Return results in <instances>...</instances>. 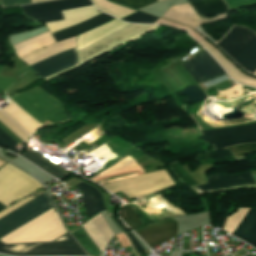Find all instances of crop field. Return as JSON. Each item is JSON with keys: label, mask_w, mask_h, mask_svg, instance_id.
Returning a JSON list of instances; mask_svg holds the SVG:
<instances>
[{"label": "crop field", "mask_w": 256, "mask_h": 256, "mask_svg": "<svg viewBox=\"0 0 256 256\" xmlns=\"http://www.w3.org/2000/svg\"><path fill=\"white\" fill-rule=\"evenodd\" d=\"M112 216H113L114 220L117 222V224L122 228V230H123L125 233L129 232V231L117 220L116 215H112Z\"/></svg>", "instance_id": "33"}, {"label": "crop field", "mask_w": 256, "mask_h": 256, "mask_svg": "<svg viewBox=\"0 0 256 256\" xmlns=\"http://www.w3.org/2000/svg\"><path fill=\"white\" fill-rule=\"evenodd\" d=\"M182 66L197 85L225 75L222 68L206 51Z\"/></svg>", "instance_id": "11"}, {"label": "crop field", "mask_w": 256, "mask_h": 256, "mask_svg": "<svg viewBox=\"0 0 256 256\" xmlns=\"http://www.w3.org/2000/svg\"><path fill=\"white\" fill-rule=\"evenodd\" d=\"M1 68L2 65H0V69ZM14 81L15 79L0 76V90L4 92Z\"/></svg>", "instance_id": "31"}, {"label": "crop field", "mask_w": 256, "mask_h": 256, "mask_svg": "<svg viewBox=\"0 0 256 256\" xmlns=\"http://www.w3.org/2000/svg\"><path fill=\"white\" fill-rule=\"evenodd\" d=\"M255 189V191H256V188H254Z\"/></svg>", "instance_id": "40"}, {"label": "crop field", "mask_w": 256, "mask_h": 256, "mask_svg": "<svg viewBox=\"0 0 256 256\" xmlns=\"http://www.w3.org/2000/svg\"><path fill=\"white\" fill-rule=\"evenodd\" d=\"M22 157L26 158L28 161H30L34 165L38 166L39 168H41L42 170H44L45 172L49 173L50 175H52L53 177L59 180H62L66 176H68L61 170L57 169L56 167H54L53 165H51L41 157L31 153L28 150L22 155Z\"/></svg>", "instance_id": "21"}, {"label": "crop field", "mask_w": 256, "mask_h": 256, "mask_svg": "<svg viewBox=\"0 0 256 256\" xmlns=\"http://www.w3.org/2000/svg\"><path fill=\"white\" fill-rule=\"evenodd\" d=\"M171 184L173 182L165 170H162L138 177L113 181L101 186L112 193L121 190L128 198H132L156 192Z\"/></svg>", "instance_id": "7"}, {"label": "crop field", "mask_w": 256, "mask_h": 256, "mask_svg": "<svg viewBox=\"0 0 256 256\" xmlns=\"http://www.w3.org/2000/svg\"><path fill=\"white\" fill-rule=\"evenodd\" d=\"M216 45L245 71L256 72V34L253 31L234 26Z\"/></svg>", "instance_id": "3"}, {"label": "crop field", "mask_w": 256, "mask_h": 256, "mask_svg": "<svg viewBox=\"0 0 256 256\" xmlns=\"http://www.w3.org/2000/svg\"><path fill=\"white\" fill-rule=\"evenodd\" d=\"M201 19L228 11L222 0H204L189 3Z\"/></svg>", "instance_id": "19"}, {"label": "crop field", "mask_w": 256, "mask_h": 256, "mask_svg": "<svg viewBox=\"0 0 256 256\" xmlns=\"http://www.w3.org/2000/svg\"><path fill=\"white\" fill-rule=\"evenodd\" d=\"M0 145L8 148L9 150L19 153L20 151L16 150L15 147L18 145L14 142L9 136H7L2 130H0Z\"/></svg>", "instance_id": "28"}, {"label": "crop field", "mask_w": 256, "mask_h": 256, "mask_svg": "<svg viewBox=\"0 0 256 256\" xmlns=\"http://www.w3.org/2000/svg\"><path fill=\"white\" fill-rule=\"evenodd\" d=\"M32 1V3H34V2H40V1H45V0H31Z\"/></svg>", "instance_id": "36"}, {"label": "crop field", "mask_w": 256, "mask_h": 256, "mask_svg": "<svg viewBox=\"0 0 256 256\" xmlns=\"http://www.w3.org/2000/svg\"><path fill=\"white\" fill-rule=\"evenodd\" d=\"M248 210L249 208H238L236 212L228 216L223 229L232 234Z\"/></svg>", "instance_id": "25"}, {"label": "crop field", "mask_w": 256, "mask_h": 256, "mask_svg": "<svg viewBox=\"0 0 256 256\" xmlns=\"http://www.w3.org/2000/svg\"><path fill=\"white\" fill-rule=\"evenodd\" d=\"M122 220L132 229L136 230L143 226L131 206L122 207L119 213Z\"/></svg>", "instance_id": "24"}, {"label": "crop field", "mask_w": 256, "mask_h": 256, "mask_svg": "<svg viewBox=\"0 0 256 256\" xmlns=\"http://www.w3.org/2000/svg\"><path fill=\"white\" fill-rule=\"evenodd\" d=\"M54 207L46 192L0 218V239ZM67 233L53 208L0 241L5 244L52 241Z\"/></svg>", "instance_id": "1"}, {"label": "crop field", "mask_w": 256, "mask_h": 256, "mask_svg": "<svg viewBox=\"0 0 256 256\" xmlns=\"http://www.w3.org/2000/svg\"><path fill=\"white\" fill-rule=\"evenodd\" d=\"M93 5L90 0H57L21 6L24 15L36 21L63 19L60 10Z\"/></svg>", "instance_id": "10"}, {"label": "crop field", "mask_w": 256, "mask_h": 256, "mask_svg": "<svg viewBox=\"0 0 256 256\" xmlns=\"http://www.w3.org/2000/svg\"><path fill=\"white\" fill-rule=\"evenodd\" d=\"M112 1L122 3V4H125V5H128V6H131V4H132V6L134 8L140 9L144 6H147L149 4H152V3L156 2L157 0H130L131 4H130L129 0H112Z\"/></svg>", "instance_id": "29"}, {"label": "crop field", "mask_w": 256, "mask_h": 256, "mask_svg": "<svg viewBox=\"0 0 256 256\" xmlns=\"http://www.w3.org/2000/svg\"><path fill=\"white\" fill-rule=\"evenodd\" d=\"M199 43H201L210 52V54L220 62V64L224 67V69L226 70L228 75L232 77V79H234L235 81H237L239 83H243V84H247V85L256 87L255 79H252V78H249L247 76L240 74L228 61H226L213 48L211 49L206 44H204L202 41Z\"/></svg>", "instance_id": "20"}, {"label": "crop field", "mask_w": 256, "mask_h": 256, "mask_svg": "<svg viewBox=\"0 0 256 256\" xmlns=\"http://www.w3.org/2000/svg\"><path fill=\"white\" fill-rule=\"evenodd\" d=\"M92 1L94 2V4L99 10L112 14L118 17L119 19H122L135 12V11L126 9L124 7L109 3L106 0H92Z\"/></svg>", "instance_id": "22"}, {"label": "crop field", "mask_w": 256, "mask_h": 256, "mask_svg": "<svg viewBox=\"0 0 256 256\" xmlns=\"http://www.w3.org/2000/svg\"><path fill=\"white\" fill-rule=\"evenodd\" d=\"M122 20L128 21V22H135V23H153L154 21L157 20V18L136 12Z\"/></svg>", "instance_id": "27"}, {"label": "crop field", "mask_w": 256, "mask_h": 256, "mask_svg": "<svg viewBox=\"0 0 256 256\" xmlns=\"http://www.w3.org/2000/svg\"><path fill=\"white\" fill-rule=\"evenodd\" d=\"M128 25L129 24L127 23L113 19L108 23H105L89 32L78 36V51ZM154 28H156V25L131 24L128 27L104 38L103 40L79 51V65L119 46L120 44L130 39L134 40Z\"/></svg>", "instance_id": "2"}, {"label": "crop field", "mask_w": 256, "mask_h": 256, "mask_svg": "<svg viewBox=\"0 0 256 256\" xmlns=\"http://www.w3.org/2000/svg\"><path fill=\"white\" fill-rule=\"evenodd\" d=\"M3 7H10L31 3L30 0H1Z\"/></svg>", "instance_id": "30"}, {"label": "crop field", "mask_w": 256, "mask_h": 256, "mask_svg": "<svg viewBox=\"0 0 256 256\" xmlns=\"http://www.w3.org/2000/svg\"><path fill=\"white\" fill-rule=\"evenodd\" d=\"M75 239L82 245V247L87 251L91 256H99L100 251L93 244L87 234L84 232L82 226L70 231Z\"/></svg>", "instance_id": "23"}, {"label": "crop field", "mask_w": 256, "mask_h": 256, "mask_svg": "<svg viewBox=\"0 0 256 256\" xmlns=\"http://www.w3.org/2000/svg\"><path fill=\"white\" fill-rule=\"evenodd\" d=\"M170 167L185 185L189 187L196 185L193 179L188 175V173L181 167L178 162L170 164ZM253 176L256 180V175ZM254 181L250 175V172H245L240 175L233 176L213 175L210 177L206 185L197 186L194 187V189L199 191L200 193H203L229 187L256 185Z\"/></svg>", "instance_id": "8"}, {"label": "crop field", "mask_w": 256, "mask_h": 256, "mask_svg": "<svg viewBox=\"0 0 256 256\" xmlns=\"http://www.w3.org/2000/svg\"><path fill=\"white\" fill-rule=\"evenodd\" d=\"M191 1H197V0H187V2H191Z\"/></svg>", "instance_id": "38"}, {"label": "crop field", "mask_w": 256, "mask_h": 256, "mask_svg": "<svg viewBox=\"0 0 256 256\" xmlns=\"http://www.w3.org/2000/svg\"><path fill=\"white\" fill-rule=\"evenodd\" d=\"M5 162H3L2 160H0V166L2 165V164H4Z\"/></svg>", "instance_id": "37"}, {"label": "crop field", "mask_w": 256, "mask_h": 256, "mask_svg": "<svg viewBox=\"0 0 256 256\" xmlns=\"http://www.w3.org/2000/svg\"><path fill=\"white\" fill-rule=\"evenodd\" d=\"M255 247H256V240H255V242H254V244H253Z\"/></svg>", "instance_id": "39"}, {"label": "crop field", "mask_w": 256, "mask_h": 256, "mask_svg": "<svg viewBox=\"0 0 256 256\" xmlns=\"http://www.w3.org/2000/svg\"><path fill=\"white\" fill-rule=\"evenodd\" d=\"M75 187L80 189L84 194V204L87 217L105 210L100 193L96 189L83 183H80Z\"/></svg>", "instance_id": "18"}, {"label": "crop field", "mask_w": 256, "mask_h": 256, "mask_svg": "<svg viewBox=\"0 0 256 256\" xmlns=\"http://www.w3.org/2000/svg\"><path fill=\"white\" fill-rule=\"evenodd\" d=\"M82 226L101 252L114 236L100 213Z\"/></svg>", "instance_id": "14"}, {"label": "crop field", "mask_w": 256, "mask_h": 256, "mask_svg": "<svg viewBox=\"0 0 256 256\" xmlns=\"http://www.w3.org/2000/svg\"><path fill=\"white\" fill-rule=\"evenodd\" d=\"M158 1H161V0H158Z\"/></svg>", "instance_id": "41"}, {"label": "crop field", "mask_w": 256, "mask_h": 256, "mask_svg": "<svg viewBox=\"0 0 256 256\" xmlns=\"http://www.w3.org/2000/svg\"><path fill=\"white\" fill-rule=\"evenodd\" d=\"M55 43L49 31L14 45L18 57Z\"/></svg>", "instance_id": "17"}, {"label": "crop field", "mask_w": 256, "mask_h": 256, "mask_svg": "<svg viewBox=\"0 0 256 256\" xmlns=\"http://www.w3.org/2000/svg\"><path fill=\"white\" fill-rule=\"evenodd\" d=\"M5 208H6V207L3 206V205L0 203V211L3 210V209H5Z\"/></svg>", "instance_id": "35"}, {"label": "crop field", "mask_w": 256, "mask_h": 256, "mask_svg": "<svg viewBox=\"0 0 256 256\" xmlns=\"http://www.w3.org/2000/svg\"><path fill=\"white\" fill-rule=\"evenodd\" d=\"M77 63L76 48L55 54L30 65L39 77L46 78Z\"/></svg>", "instance_id": "12"}, {"label": "crop field", "mask_w": 256, "mask_h": 256, "mask_svg": "<svg viewBox=\"0 0 256 256\" xmlns=\"http://www.w3.org/2000/svg\"><path fill=\"white\" fill-rule=\"evenodd\" d=\"M99 13H101V12H99ZM99 13L94 8V6L80 8V9H74V10H69V11H63L62 14H63L65 20L47 23L46 26L48 27L50 32H54V31L60 30L62 28L76 24V23L83 21L85 19H88L90 17H93ZM111 19H113V17L101 13V14H99L93 18H90L88 20H85L81 23H78L71 27L54 32V33H52V35L55 38L56 42L62 41V40L68 39V38L75 37L76 35L84 33L90 29H93Z\"/></svg>", "instance_id": "5"}, {"label": "crop field", "mask_w": 256, "mask_h": 256, "mask_svg": "<svg viewBox=\"0 0 256 256\" xmlns=\"http://www.w3.org/2000/svg\"><path fill=\"white\" fill-rule=\"evenodd\" d=\"M232 235L250 245L253 243L256 239V209L250 208Z\"/></svg>", "instance_id": "16"}, {"label": "crop field", "mask_w": 256, "mask_h": 256, "mask_svg": "<svg viewBox=\"0 0 256 256\" xmlns=\"http://www.w3.org/2000/svg\"><path fill=\"white\" fill-rule=\"evenodd\" d=\"M231 150L234 157L241 156L250 152H256V144H241L225 148Z\"/></svg>", "instance_id": "26"}, {"label": "crop field", "mask_w": 256, "mask_h": 256, "mask_svg": "<svg viewBox=\"0 0 256 256\" xmlns=\"http://www.w3.org/2000/svg\"><path fill=\"white\" fill-rule=\"evenodd\" d=\"M135 233L151 248L176 235V221L172 219L160 221L137 230Z\"/></svg>", "instance_id": "13"}, {"label": "crop field", "mask_w": 256, "mask_h": 256, "mask_svg": "<svg viewBox=\"0 0 256 256\" xmlns=\"http://www.w3.org/2000/svg\"><path fill=\"white\" fill-rule=\"evenodd\" d=\"M215 150L239 143L256 142V124L199 132Z\"/></svg>", "instance_id": "9"}, {"label": "crop field", "mask_w": 256, "mask_h": 256, "mask_svg": "<svg viewBox=\"0 0 256 256\" xmlns=\"http://www.w3.org/2000/svg\"><path fill=\"white\" fill-rule=\"evenodd\" d=\"M129 236V238L131 239L137 253L144 251L143 247L138 243V241L133 237V235L131 233L127 234Z\"/></svg>", "instance_id": "32"}, {"label": "crop field", "mask_w": 256, "mask_h": 256, "mask_svg": "<svg viewBox=\"0 0 256 256\" xmlns=\"http://www.w3.org/2000/svg\"><path fill=\"white\" fill-rule=\"evenodd\" d=\"M41 125L47 120L50 124L68 121L59 101L51 98L39 87L11 98Z\"/></svg>", "instance_id": "4"}, {"label": "crop field", "mask_w": 256, "mask_h": 256, "mask_svg": "<svg viewBox=\"0 0 256 256\" xmlns=\"http://www.w3.org/2000/svg\"><path fill=\"white\" fill-rule=\"evenodd\" d=\"M162 17L191 28L198 25L195 21L200 20L188 3L171 7Z\"/></svg>", "instance_id": "15"}, {"label": "crop field", "mask_w": 256, "mask_h": 256, "mask_svg": "<svg viewBox=\"0 0 256 256\" xmlns=\"http://www.w3.org/2000/svg\"><path fill=\"white\" fill-rule=\"evenodd\" d=\"M224 79H226L225 76H223V77H221V78H218V79H215V80H213V81L207 82V83H205V85L208 86V85H210V84L216 83V82L221 81V80H224Z\"/></svg>", "instance_id": "34"}, {"label": "crop field", "mask_w": 256, "mask_h": 256, "mask_svg": "<svg viewBox=\"0 0 256 256\" xmlns=\"http://www.w3.org/2000/svg\"><path fill=\"white\" fill-rule=\"evenodd\" d=\"M0 253L14 256H52V255H85L72 238L64 236L44 243L5 245L0 242Z\"/></svg>", "instance_id": "6"}]
</instances>
